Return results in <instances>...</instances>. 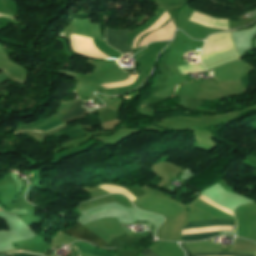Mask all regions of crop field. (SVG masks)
I'll return each mask as SVG.
<instances>
[{"label":"crop field","mask_w":256,"mask_h":256,"mask_svg":"<svg viewBox=\"0 0 256 256\" xmlns=\"http://www.w3.org/2000/svg\"><path fill=\"white\" fill-rule=\"evenodd\" d=\"M169 18L168 14L167 13H163L162 16L157 19L150 28L144 30L141 34H139L135 39H134V42H133V46L134 48H136V42L140 39V37L142 35H144L146 32H149L150 30L154 29V28H158L160 27L161 25L164 24V22ZM155 30V29H154Z\"/></svg>","instance_id":"crop-field-8"},{"label":"crop field","mask_w":256,"mask_h":256,"mask_svg":"<svg viewBox=\"0 0 256 256\" xmlns=\"http://www.w3.org/2000/svg\"><path fill=\"white\" fill-rule=\"evenodd\" d=\"M197 65H199V64H197Z\"/></svg>","instance_id":"crop-field-14"},{"label":"crop field","mask_w":256,"mask_h":256,"mask_svg":"<svg viewBox=\"0 0 256 256\" xmlns=\"http://www.w3.org/2000/svg\"><path fill=\"white\" fill-rule=\"evenodd\" d=\"M175 27L173 25L172 19L161 29L147 35L143 38L139 44V46H145L148 42L164 40V39H171Z\"/></svg>","instance_id":"crop-field-5"},{"label":"crop field","mask_w":256,"mask_h":256,"mask_svg":"<svg viewBox=\"0 0 256 256\" xmlns=\"http://www.w3.org/2000/svg\"><path fill=\"white\" fill-rule=\"evenodd\" d=\"M67 234H70L74 237H77L82 240H86L89 243L98 246V247H105L108 243L100 238L98 235L94 234L93 232L89 231L85 227H83L80 223L74 224L70 229L64 231Z\"/></svg>","instance_id":"crop-field-3"},{"label":"crop field","mask_w":256,"mask_h":256,"mask_svg":"<svg viewBox=\"0 0 256 256\" xmlns=\"http://www.w3.org/2000/svg\"><path fill=\"white\" fill-rule=\"evenodd\" d=\"M13 256H38L34 254H29V253H11ZM11 254L8 255H0V256H12Z\"/></svg>","instance_id":"crop-field-12"},{"label":"crop field","mask_w":256,"mask_h":256,"mask_svg":"<svg viewBox=\"0 0 256 256\" xmlns=\"http://www.w3.org/2000/svg\"><path fill=\"white\" fill-rule=\"evenodd\" d=\"M71 47L75 52L88 57L102 58L103 53H101L94 45L92 38L82 37L74 34L69 35ZM103 58H109L104 55Z\"/></svg>","instance_id":"crop-field-1"},{"label":"crop field","mask_w":256,"mask_h":256,"mask_svg":"<svg viewBox=\"0 0 256 256\" xmlns=\"http://www.w3.org/2000/svg\"><path fill=\"white\" fill-rule=\"evenodd\" d=\"M180 246L187 252V256L193 255V254L192 255L190 254L191 253L190 251H189L190 253L188 252V250L184 247L183 243H180Z\"/></svg>","instance_id":"crop-field-13"},{"label":"crop field","mask_w":256,"mask_h":256,"mask_svg":"<svg viewBox=\"0 0 256 256\" xmlns=\"http://www.w3.org/2000/svg\"><path fill=\"white\" fill-rule=\"evenodd\" d=\"M128 30H109L106 29V42L108 45L116 48L121 53L129 52V48L126 45V37Z\"/></svg>","instance_id":"crop-field-4"},{"label":"crop field","mask_w":256,"mask_h":256,"mask_svg":"<svg viewBox=\"0 0 256 256\" xmlns=\"http://www.w3.org/2000/svg\"><path fill=\"white\" fill-rule=\"evenodd\" d=\"M141 254L144 256H162L150 247L146 248Z\"/></svg>","instance_id":"crop-field-11"},{"label":"crop field","mask_w":256,"mask_h":256,"mask_svg":"<svg viewBox=\"0 0 256 256\" xmlns=\"http://www.w3.org/2000/svg\"><path fill=\"white\" fill-rule=\"evenodd\" d=\"M76 247L79 249L80 252H84V253L95 255V256H113V255H115L114 253L98 250V249H95V248H93L87 244H83V243H78L76 245Z\"/></svg>","instance_id":"crop-field-7"},{"label":"crop field","mask_w":256,"mask_h":256,"mask_svg":"<svg viewBox=\"0 0 256 256\" xmlns=\"http://www.w3.org/2000/svg\"><path fill=\"white\" fill-rule=\"evenodd\" d=\"M81 105H83V102L81 100H78L60 119H62L65 122H70L74 119L83 116L87 109L80 108Z\"/></svg>","instance_id":"crop-field-6"},{"label":"crop field","mask_w":256,"mask_h":256,"mask_svg":"<svg viewBox=\"0 0 256 256\" xmlns=\"http://www.w3.org/2000/svg\"><path fill=\"white\" fill-rule=\"evenodd\" d=\"M195 256H251V255H243L236 254L231 252H217V253H193Z\"/></svg>","instance_id":"crop-field-10"},{"label":"crop field","mask_w":256,"mask_h":256,"mask_svg":"<svg viewBox=\"0 0 256 256\" xmlns=\"http://www.w3.org/2000/svg\"><path fill=\"white\" fill-rule=\"evenodd\" d=\"M215 76V75H214Z\"/></svg>","instance_id":"crop-field-15"},{"label":"crop field","mask_w":256,"mask_h":256,"mask_svg":"<svg viewBox=\"0 0 256 256\" xmlns=\"http://www.w3.org/2000/svg\"><path fill=\"white\" fill-rule=\"evenodd\" d=\"M136 77H137V74L136 75H130L129 78L125 81L110 83V84H104L103 86H105L107 88L118 87V86H127V85H130L131 83H133V81L136 79Z\"/></svg>","instance_id":"crop-field-9"},{"label":"crop field","mask_w":256,"mask_h":256,"mask_svg":"<svg viewBox=\"0 0 256 256\" xmlns=\"http://www.w3.org/2000/svg\"><path fill=\"white\" fill-rule=\"evenodd\" d=\"M214 225L234 226V221H229V220L197 221V222L188 223L183 229L194 228V227L214 226ZM215 236H217L216 232L201 233V234L182 236V240L183 241H198V240L207 239V238H211V237H215Z\"/></svg>","instance_id":"crop-field-2"}]
</instances>
